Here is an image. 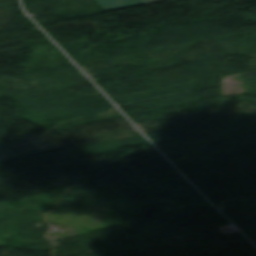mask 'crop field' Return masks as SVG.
Masks as SVG:
<instances>
[{
	"instance_id": "ac0d7876",
	"label": "crop field",
	"mask_w": 256,
	"mask_h": 256,
	"mask_svg": "<svg viewBox=\"0 0 256 256\" xmlns=\"http://www.w3.org/2000/svg\"><path fill=\"white\" fill-rule=\"evenodd\" d=\"M107 11L145 4L143 0H98Z\"/></svg>"
},
{
	"instance_id": "8a807250",
	"label": "crop field",
	"mask_w": 256,
	"mask_h": 256,
	"mask_svg": "<svg viewBox=\"0 0 256 256\" xmlns=\"http://www.w3.org/2000/svg\"><path fill=\"white\" fill-rule=\"evenodd\" d=\"M15 158L58 150L44 133L3 142Z\"/></svg>"
},
{
	"instance_id": "412701ff",
	"label": "crop field",
	"mask_w": 256,
	"mask_h": 256,
	"mask_svg": "<svg viewBox=\"0 0 256 256\" xmlns=\"http://www.w3.org/2000/svg\"><path fill=\"white\" fill-rule=\"evenodd\" d=\"M148 4L150 3H156V2H161V1H166V0H146Z\"/></svg>"
},
{
	"instance_id": "34b2d1b8",
	"label": "crop field",
	"mask_w": 256,
	"mask_h": 256,
	"mask_svg": "<svg viewBox=\"0 0 256 256\" xmlns=\"http://www.w3.org/2000/svg\"><path fill=\"white\" fill-rule=\"evenodd\" d=\"M15 158L11 155V153L6 149L2 142H0V161H9L14 160Z\"/></svg>"
}]
</instances>
